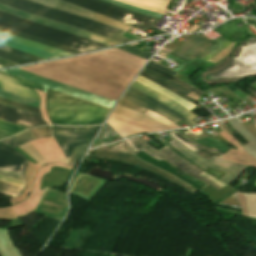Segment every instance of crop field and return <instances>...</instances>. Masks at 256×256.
Segmentation results:
<instances>
[{
    "mask_svg": "<svg viewBox=\"0 0 256 256\" xmlns=\"http://www.w3.org/2000/svg\"><path fill=\"white\" fill-rule=\"evenodd\" d=\"M33 88L42 91L43 86L0 72V89L40 101L38 93Z\"/></svg>",
    "mask_w": 256,
    "mask_h": 256,
    "instance_id": "obj_14",
    "label": "crop field"
},
{
    "mask_svg": "<svg viewBox=\"0 0 256 256\" xmlns=\"http://www.w3.org/2000/svg\"><path fill=\"white\" fill-rule=\"evenodd\" d=\"M28 160L16 151L0 144V175L25 182Z\"/></svg>",
    "mask_w": 256,
    "mask_h": 256,
    "instance_id": "obj_10",
    "label": "crop field"
},
{
    "mask_svg": "<svg viewBox=\"0 0 256 256\" xmlns=\"http://www.w3.org/2000/svg\"><path fill=\"white\" fill-rule=\"evenodd\" d=\"M1 256H21L18 248L14 249L7 230H0Z\"/></svg>",
    "mask_w": 256,
    "mask_h": 256,
    "instance_id": "obj_22",
    "label": "crop field"
},
{
    "mask_svg": "<svg viewBox=\"0 0 256 256\" xmlns=\"http://www.w3.org/2000/svg\"><path fill=\"white\" fill-rule=\"evenodd\" d=\"M0 65H2L4 67H7V66H11V65H16V64L11 63V62L6 61V60H3V59H0Z\"/></svg>",
    "mask_w": 256,
    "mask_h": 256,
    "instance_id": "obj_42",
    "label": "crop field"
},
{
    "mask_svg": "<svg viewBox=\"0 0 256 256\" xmlns=\"http://www.w3.org/2000/svg\"><path fill=\"white\" fill-rule=\"evenodd\" d=\"M0 97L7 98V99H10V100H14V101L24 103V104H27V105L35 106V107H38V108H39V105H40L39 101L32 100V99H29V98H26V97H23V96L11 94V93H8V92L2 91V90H0Z\"/></svg>",
    "mask_w": 256,
    "mask_h": 256,
    "instance_id": "obj_28",
    "label": "crop field"
},
{
    "mask_svg": "<svg viewBox=\"0 0 256 256\" xmlns=\"http://www.w3.org/2000/svg\"><path fill=\"white\" fill-rule=\"evenodd\" d=\"M88 146H89V144L82 145V146L78 147L77 149H75L69 164L75 166V164L78 162V160L82 156L83 152L87 150Z\"/></svg>",
    "mask_w": 256,
    "mask_h": 256,
    "instance_id": "obj_36",
    "label": "crop field"
},
{
    "mask_svg": "<svg viewBox=\"0 0 256 256\" xmlns=\"http://www.w3.org/2000/svg\"><path fill=\"white\" fill-rule=\"evenodd\" d=\"M0 68H2V66H0Z\"/></svg>",
    "mask_w": 256,
    "mask_h": 256,
    "instance_id": "obj_43",
    "label": "crop field"
},
{
    "mask_svg": "<svg viewBox=\"0 0 256 256\" xmlns=\"http://www.w3.org/2000/svg\"><path fill=\"white\" fill-rule=\"evenodd\" d=\"M140 76H142V77H144V78H146V79H148V80H150V81H152V82H154V83H156V84H158V85H160V86H162V87H164V88L170 90V91L173 92L174 94H176V95H178V96H180V97L186 99L187 101H189V102H191L192 104L195 105L196 101H194V100L188 98L187 96H185V95L179 93L178 91H176V90H174L173 88L167 86L166 84H164V83H162V82H160V81H158V80H156V79H154V78H152V77H150V76H148V75H146V74H144V73H142V72H141Z\"/></svg>",
    "mask_w": 256,
    "mask_h": 256,
    "instance_id": "obj_31",
    "label": "crop field"
},
{
    "mask_svg": "<svg viewBox=\"0 0 256 256\" xmlns=\"http://www.w3.org/2000/svg\"><path fill=\"white\" fill-rule=\"evenodd\" d=\"M145 148H147L148 150H150L151 152H153L154 154H156L157 156H159L160 158H162L163 160H165L169 164H171V165L189 173L190 175L194 176L195 178L212 185L213 187H215L218 190L222 189L219 186H217L215 183H213L212 181L200 176L199 174L202 173L203 171L197 169L196 167L192 166L191 164H189V163L185 162L184 160L180 159L177 155H175L166 146L163 147L159 151L154 149L153 147H151L149 145H147Z\"/></svg>",
    "mask_w": 256,
    "mask_h": 256,
    "instance_id": "obj_15",
    "label": "crop field"
},
{
    "mask_svg": "<svg viewBox=\"0 0 256 256\" xmlns=\"http://www.w3.org/2000/svg\"><path fill=\"white\" fill-rule=\"evenodd\" d=\"M145 68H147V69H149V70H151V71H153V72H155V73H157V74H159V75L169 79L170 81H172V82H174V83L184 87L185 89H187L190 92H193V93H195V94H197L199 96L202 95V92L196 90L197 88L195 89V88L189 86L188 84H186V83H184V82H182V81H180V80H178V79H176V78H174V77H172V76H170V75H168V74H166V73H164V72H162V71H160V70H158V69H156L154 67H151V66L147 65Z\"/></svg>",
    "mask_w": 256,
    "mask_h": 256,
    "instance_id": "obj_26",
    "label": "crop field"
},
{
    "mask_svg": "<svg viewBox=\"0 0 256 256\" xmlns=\"http://www.w3.org/2000/svg\"><path fill=\"white\" fill-rule=\"evenodd\" d=\"M143 72H145V73L149 74L150 76H152V77H154V78H156V79L166 83L167 85L173 87L174 89L178 90L179 92H181V93H183L185 95L190 93L187 90H185L184 88H182V87H180V86H178V85H176V84H174V83H172V82H170V81H168V80H166V79H164V78L154 74L153 72H151V71H149V70H147L145 68H144Z\"/></svg>",
    "mask_w": 256,
    "mask_h": 256,
    "instance_id": "obj_33",
    "label": "crop field"
},
{
    "mask_svg": "<svg viewBox=\"0 0 256 256\" xmlns=\"http://www.w3.org/2000/svg\"><path fill=\"white\" fill-rule=\"evenodd\" d=\"M131 86L147 93L151 97L157 99L158 101L162 102L163 104L167 105L168 107L172 108L173 110L177 111L178 113L182 114L183 116L187 117L190 120L197 117L194 114H192L191 112H189L188 110L184 109L183 107H181L180 105L175 103L174 101L168 99L167 97L153 91L152 89H150L136 81H134Z\"/></svg>",
    "mask_w": 256,
    "mask_h": 256,
    "instance_id": "obj_17",
    "label": "crop field"
},
{
    "mask_svg": "<svg viewBox=\"0 0 256 256\" xmlns=\"http://www.w3.org/2000/svg\"><path fill=\"white\" fill-rule=\"evenodd\" d=\"M171 135H173L177 140H179L183 145H185L188 149L192 150L193 152L207 158V159H211L213 157V155L221 158L223 156V154L217 153L213 150H210L204 146H201L189 139H187L186 137H184L182 134L174 131V132H169Z\"/></svg>",
    "mask_w": 256,
    "mask_h": 256,
    "instance_id": "obj_19",
    "label": "crop field"
},
{
    "mask_svg": "<svg viewBox=\"0 0 256 256\" xmlns=\"http://www.w3.org/2000/svg\"><path fill=\"white\" fill-rule=\"evenodd\" d=\"M2 72L42 84V85H44V89H43L44 92L46 90V87H48V88H51V89H54V90H57L60 92H64V93H67V94H70V95H73V96H76V97H79V98H82V99H85V100H88V101H91L94 103H98V104L110 107V108H112V106L114 104V101H111V100H108V99H105L102 97H98V96H95V95H92V94H89V93H86L83 91H79V90H76L69 86H66V85L33 75V74H30V73H27V72H24V71H21L18 69L6 70V71H2Z\"/></svg>",
    "mask_w": 256,
    "mask_h": 256,
    "instance_id": "obj_8",
    "label": "crop field"
},
{
    "mask_svg": "<svg viewBox=\"0 0 256 256\" xmlns=\"http://www.w3.org/2000/svg\"><path fill=\"white\" fill-rule=\"evenodd\" d=\"M0 3L22 11L38 15L46 19L77 27L120 43L132 40L122 36L124 31L103 24H99L84 18H80L74 15H70L64 12H60L48 7H44L26 0H0Z\"/></svg>",
    "mask_w": 256,
    "mask_h": 256,
    "instance_id": "obj_2",
    "label": "crop field"
},
{
    "mask_svg": "<svg viewBox=\"0 0 256 256\" xmlns=\"http://www.w3.org/2000/svg\"><path fill=\"white\" fill-rule=\"evenodd\" d=\"M97 153H117V154H128L132 155L131 151L129 150L128 146L126 145L125 141L119 143L112 149L104 150Z\"/></svg>",
    "mask_w": 256,
    "mask_h": 256,
    "instance_id": "obj_32",
    "label": "crop field"
},
{
    "mask_svg": "<svg viewBox=\"0 0 256 256\" xmlns=\"http://www.w3.org/2000/svg\"><path fill=\"white\" fill-rule=\"evenodd\" d=\"M0 10L4 11V12H7L9 14L24 18V19L35 21V22H38V23H41V24H45V25H48V26H51V27H54V28H57V29H61V30L79 35V36H83V37L95 40V41L100 42V43L105 44V45L112 46V45L120 44V43L114 42L112 40L94 35L92 33H89V32H86V31H83V30H80V29H76V28H73V27H70V26H66V25H63V24H60V23H56V22H53V21H50V20H46V19L37 17L35 15L25 13V12H21V11L12 9L10 7H7V6L1 5V4H0Z\"/></svg>",
    "mask_w": 256,
    "mask_h": 256,
    "instance_id": "obj_12",
    "label": "crop field"
},
{
    "mask_svg": "<svg viewBox=\"0 0 256 256\" xmlns=\"http://www.w3.org/2000/svg\"><path fill=\"white\" fill-rule=\"evenodd\" d=\"M113 113L121 115V116L129 117V118H132L134 120L141 121L143 123H146L148 125H151L153 127L161 129V130L171 129L170 127H168L167 125H165L161 122H158V121H156V120H154L150 117L144 116V115H142L138 112H135L133 110H130V109H128L126 107H123L121 105H118V104H117L116 108L114 109Z\"/></svg>",
    "mask_w": 256,
    "mask_h": 256,
    "instance_id": "obj_18",
    "label": "crop field"
},
{
    "mask_svg": "<svg viewBox=\"0 0 256 256\" xmlns=\"http://www.w3.org/2000/svg\"><path fill=\"white\" fill-rule=\"evenodd\" d=\"M149 65L154 66V67H156V68H159V69H161V70H163V71H165V72H167V73H169V74H171V75H173V76L177 75V73H175V72H173V71H171V70H168V69H166V68H163V67L157 65L156 63H154V62H152V61H150Z\"/></svg>",
    "mask_w": 256,
    "mask_h": 256,
    "instance_id": "obj_41",
    "label": "crop field"
},
{
    "mask_svg": "<svg viewBox=\"0 0 256 256\" xmlns=\"http://www.w3.org/2000/svg\"><path fill=\"white\" fill-rule=\"evenodd\" d=\"M0 104L5 105V106H9V107H12V108H16V109H19V110H23V111H26V112H29V113H32V114L40 115V111H39L38 108H34V107H31V106H27V105H24V104L13 102V101H10V100H7V99L0 98Z\"/></svg>",
    "mask_w": 256,
    "mask_h": 256,
    "instance_id": "obj_29",
    "label": "crop field"
},
{
    "mask_svg": "<svg viewBox=\"0 0 256 256\" xmlns=\"http://www.w3.org/2000/svg\"><path fill=\"white\" fill-rule=\"evenodd\" d=\"M123 98L130 100L134 103H137V104L165 117L166 119H168L174 123L181 120L190 126L196 125L192 121L188 120L187 118L183 117L182 115L178 114L177 112L173 111L172 109L168 108L167 106L163 105L162 103L156 101L155 99L149 97L148 95L142 93L141 91H139L131 86L128 89V91L125 93Z\"/></svg>",
    "mask_w": 256,
    "mask_h": 256,
    "instance_id": "obj_9",
    "label": "crop field"
},
{
    "mask_svg": "<svg viewBox=\"0 0 256 256\" xmlns=\"http://www.w3.org/2000/svg\"><path fill=\"white\" fill-rule=\"evenodd\" d=\"M45 110L51 124H101L110 108L47 88Z\"/></svg>",
    "mask_w": 256,
    "mask_h": 256,
    "instance_id": "obj_1",
    "label": "crop field"
},
{
    "mask_svg": "<svg viewBox=\"0 0 256 256\" xmlns=\"http://www.w3.org/2000/svg\"><path fill=\"white\" fill-rule=\"evenodd\" d=\"M166 134L173 139L172 141L169 142V144H171L174 148H176L180 153H182L187 158L191 159L192 161H194L195 163H197L198 165L202 166L205 169L210 167V168L227 173L226 175L218 179L226 185H228L234 179H236L246 167L245 165H239V164H234V163L224 161L215 156L210 161H208L196 155L195 153L191 152L190 150H188L180 142H178L174 137H172L168 132H166Z\"/></svg>",
    "mask_w": 256,
    "mask_h": 256,
    "instance_id": "obj_7",
    "label": "crop field"
},
{
    "mask_svg": "<svg viewBox=\"0 0 256 256\" xmlns=\"http://www.w3.org/2000/svg\"><path fill=\"white\" fill-rule=\"evenodd\" d=\"M32 1H34L36 3H41L46 6H50L52 8H56V9H59L62 11H66V12L72 13L74 15H79V16H83L85 18H90V19L105 23L109 26H112V27H115V28H118L121 30L128 31L131 28V26L108 19V18L101 16L97 13L79 8L77 6L68 4V3L60 1V0H32Z\"/></svg>",
    "mask_w": 256,
    "mask_h": 256,
    "instance_id": "obj_13",
    "label": "crop field"
},
{
    "mask_svg": "<svg viewBox=\"0 0 256 256\" xmlns=\"http://www.w3.org/2000/svg\"><path fill=\"white\" fill-rule=\"evenodd\" d=\"M127 142L129 144L133 154L140 151L141 149H143L146 146L140 137L127 139Z\"/></svg>",
    "mask_w": 256,
    "mask_h": 256,
    "instance_id": "obj_34",
    "label": "crop field"
},
{
    "mask_svg": "<svg viewBox=\"0 0 256 256\" xmlns=\"http://www.w3.org/2000/svg\"><path fill=\"white\" fill-rule=\"evenodd\" d=\"M0 130L15 135L19 132L27 130L21 126L14 125L5 121L0 120Z\"/></svg>",
    "mask_w": 256,
    "mask_h": 256,
    "instance_id": "obj_30",
    "label": "crop field"
},
{
    "mask_svg": "<svg viewBox=\"0 0 256 256\" xmlns=\"http://www.w3.org/2000/svg\"><path fill=\"white\" fill-rule=\"evenodd\" d=\"M0 43L4 44V45L11 46V47H14V48H17L19 50L25 51L27 53H30V54H33V55H36V56H39V57H42V58H45V59L57 58L54 55L39 51L37 49L31 48V47H28V46H24V45H21V44H18V43H14V42H11V41H8V40H5V39L0 38Z\"/></svg>",
    "mask_w": 256,
    "mask_h": 256,
    "instance_id": "obj_24",
    "label": "crop field"
},
{
    "mask_svg": "<svg viewBox=\"0 0 256 256\" xmlns=\"http://www.w3.org/2000/svg\"><path fill=\"white\" fill-rule=\"evenodd\" d=\"M136 81H138V82H140V83H142V84H145V85H147L148 87L152 88L153 90H155V91H157V92H159V93H161V94H163V95H165V96H167V97L173 99V100L176 101L178 104H180L181 106H183V107L189 109L190 111L195 108L194 105L190 104V103L187 102L186 100H184V99H182V98H180V97L174 95L173 93H171V92L165 90L164 88H162V87H160V86H158V85H156V84H154V83H152V82H150V81H148V80H146V79H144V78H142V77H140V76L137 77Z\"/></svg>",
    "mask_w": 256,
    "mask_h": 256,
    "instance_id": "obj_20",
    "label": "crop field"
},
{
    "mask_svg": "<svg viewBox=\"0 0 256 256\" xmlns=\"http://www.w3.org/2000/svg\"><path fill=\"white\" fill-rule=\"evenodd\" d=\"M0 119L15 123L27 128L40 126V125H49L42 117L35 116L23 111L16 109L8 108L0 105Z\"/></svg>",
    "mask_w": 256,
    "mask_h": 256,
    "instance_id": "obj_16",
    "label": "crop field"
},
{
    "mask_svg": "<svg viewBox=\"0 0 256 256\" xmlns=\"http://www.w3.org/2000/svg\"><path fill=\"white\" fill-rule=\"evenodd\" d=\"M0 37L11 40V41H15V42H18V43H21V44H24V45H28V46H31V47H34V48H37L39 50L57 55L59 57L72 55L70 53H66V52H63V51H60V50H56V49H53V48H50V47H47V46H44V45H41V44H38V43H34V42H31V41H28V40H25V39H22V38H18V37H14V36H11V35H7V34H4V33H0Z\"/></svg>",
    "mask_w": 256,
    "mask_h": 256,
    "instance_id": "obj_21",
    "label": "crop field"
},
{
    "mask_svg": "<svg viewBox=\"0 0 256 256\" xmlns=\"http://www.w3.org/2000/svg\"><path fill=\"white\" fill-rule=\"evenodd\" d=\"M0 32L20 36V37H23V38H26V39H29V40H32V41H35V42L53 47V48H57V49H60V50L66 51V52L73 53V54L82 53L80 51H77V50L69 48V47H65V46H61V45L54 44V43H51V42H47V41H44L42 39L32 37V36H29V35H26V34H22V33H19V32L13 31V30H9V29L3 28V27H0Z\"/></svg>",
    "mask_w": 256,
    "mask_h": 256,
    "instance_id": "obj_23",
    "label": "crop field"
},
{
    "mask_svg": "<svg viewBox=\"0 0 256 256\" xmlns=\"http://www.w3.org/2000/svg\"><path fill=\"white\" fill-rule=\"evenodd\" d=\"M117 48H119L125 52H128L130 54L136 55L138 57L144 58L146 60H148L149 57L151 56V54H148V53H145V52H142V51H139V50L127 47V46H121V47H117Z\"/></svg>",
    "mask_w": 256,
    "mask_h": 256,
    "instance_id": "obj_38",
    "label": "crop field"
},
{
    "mask_svg": "<svg viewBox=\"0 0 256 256\" xmlns=\"http://www.w3.org/2000/svg\"><path fill=\"white\" fill-rule=\"evenodd\" d=\"M24 190L23 186L7 183L0 181V193L10 195V196H18Z\"/></svg>",
    "mask_w": 256,
    "mask_h": 256,
    "instance_id": "obj_27",
    "label": "crop field"
},
{
    "mask_svg": "<svg viewBox=\"0 0 256 256\" xmlns=\"http://www.w3.org/2000/svg\"><path fill=\"white\" fill-rule=\"evenodd\" d=\"M231 43L232 42L222 37L213 43L201 36L195 35L179 45L169 54L184 61L198 57L207 62Z\"/></svg>",
    "mask_w": 256,
    "mask_h": 256,
    "instance_id": "obj_4",
    "label": "crop field"
},
{
    "mask_svg": "<svg viewBox=\"0 0 256 256\" xmlns=\"http://www.w3.org/2000/svg\"><path fill=\"white\" fill-rule=\"evenodd\" d=\"M30 132L33 134L35 139L51 136V134H50V126L30 129Z\"/></svg>",
    "mask_w": 256,
    "mask_h": 256,
    "instance_id": "obj_35",
    "label": "crop field"
},
{
    "mask_svg": "<svg viewBox=\"0 0 256 256\" xmlns=\"http://www.w3.org/2000/svg\"><path fill=\"white\" fill-rule=\"evenodd\" d=\"M89 157L91 158H98V159H105V160H110V161H115V162H120V163H124V164H129L132 166H136V167H140L146 171H149L155 175H158L180 187H182L183 189H185L187 192H189L190 194H195V190H193L191 187H189L187 184H185L184 182L176 179L175 177H173L172 175L159 170L155 167H152L140 160H138L135 156H127V155H116V154H91L89 155ZM139 168V169H140Z\"/></svg>",
    "mask_w": 256,
    "mask_h": 256,
    "instance_id": "obj_11",
    "label": "crop field"
},
{
    "mask_svg": "<svg viewBox=\"0 0 256 256\" xmlns=\"http://www.w3.org/2000/svg\"><path fill=\"white\" fill-rule=\"evenodd\" d=\"M64 1L75 4L85 9L92 10L94 12L100 13L102 15L108 16L110 18L116 19L118 21H121L123 23L129 24L131 26H134L143 30L152 28L163 34H167L166 32L153 28V26L157 23V21L120 10L94 0H64Z\"/></svg>",
    "mask_w": 256,
    "mask_h": 256,
    "instance_id": "obj_5",
    "label": "crop field"
},
{
    "mask_svg": "<svg viewBox=\"0 0 256 256\" xmlns=\"http://www.w3.org/2000/svg\"><path fill=\"white\" fill-rule=\"evenodd\" d=\"M256 126V125H255Z\"/></svg>",
    "mask_w": 256,
    "mask_h": 256,
    "instance_id": "obj_44",
    "label": "crop field"
},
{
    "mask_svg": "<svg viewBox=\"0 0 256 256\" xmlns=\"http://www.w3.org/2000/svg\"><path fill=\"white\" fill-rule=\"evenodd\" d=\"M33 139H34V137L31 135L29 130H27L25 132L15 135V136L1 140L0 142L5 143L6 145H8L12 148H15V147H18L28 141L33 140Z\"/></svg>",
    "mask_w": 256,
    "mask_h": 256,
    "instance_id": "obj_25",
    "label": "crop field"
},
{
    "mask_svg": "<svg viewBox=\"0 0 256 256\" xmlns=\"http://www.w3.org/2000/svg\"><path fill=\"white\" fill-rule=\"evenodd\" d=\"M100 126L59 127L52 126L53 136L66 155H72L74 149L81 144L90 143Z\"/></svg>",
    "mask_w": 256,
    "mask_h": 256,
    "instance_id": "obj_6",
    "label": "crop field"
},
{
    "mask_svg": "<svg viewBox=\"0 0 256 256\" xmlns=\"http://www.w3.org/2000/svg\"><path fill=\"white\" fill-rule=\"evenodd\" d=\"M0 26L10 28L32 36H36L51 42L66 45L83 52L109 47L95 41L79 37L64 31H60L48 26H44L35 22L24 20L1 11Z\"/></svg>",
    "mask_w": 256,
    "mask_h": 256,
    "instance_id": "obj_3",
    "label": "crop field"
},
{
    "mask_svg": "<svg viewBox=\"0 0 256 256\" xmlns=\"http://www.w3.org/2000/svg\"><path fill=\"white\" fill-rule=\"evenodd\" d=\"M119 104H121L123 106H126L128 108H131L133 110H136V111H138V112H140L142 114H144L147 111V109H145L143 107H140V106H138V105H136L134 103H131V102H129V101L123 99V98H121V100L119 101Z\"/></svg>",
    "mask_w": 256,
    "mask_h": 256,
    "instance_id": "obj_39",
    "label": "crop field"
},
{
    "mask_svg": "<svg viewBox=\"0 0 256 256\" xmlns=\"http://www.w3.org/2000/svg\"><path fill=\"white\" fill-rule=\"evenodd\" d=\"M106 1H109L111 3H114V4H117L119 6L125 7L127 9L134 10V11H137V12H141V13H144V14L152 15V16H155V17L160 16V14H156V13H153V12H150V11H146V10H143V9H140V8H136V7H133V6H130V5H127V4H124V3H120V2H117V1H114V0H106Z\"/></svg>",
    "mask_w": 256,
    "mask_h": 256,
    "instance_id": "obj_37",
    "label": "crop field"
},
{
    "mask_svg": "<svg viewBox=\"0 0 256 256\" xmlns=\"http://www.w3.org/2000/svg\"><path fill=\"white\" fill-rule=\"evenodd\" d=\"M97 1H100V2H102V3H105V4H108V5H111V6H114V7H117V8L126 10V11H129V12H132V13H135V14H138V15H141V16H145V17H148V18H151V19H154V20L159 21V19H157V18L150 17V16H147V15H144V14H140V13H137V12H134V11H130V10H127V9H125V8L119 7V6H117V5L111 4V3L106 2V1H103V0H97Z\"/></svg>",
    "mask_w": 256,
    "mask_h": 256,
    "instance_id": "obj_40",
    "label": "crop field"
}]
</instances>
